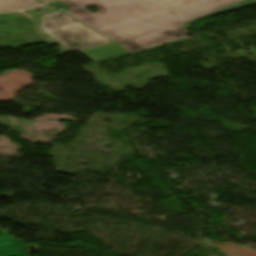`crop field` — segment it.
I'll list each match as a JSON object with an SVG mask.
<instances>
[{
    "mask_svg": "<svg viewBox=\"0 0 256 256\" xmlns=\"http://www.w3.org/2000/svg\"><path fill=\"white\" fill-rule=\"evenodd\" d=\"M92 61L97 62L100 60L120 56L129 53L126 49L121 47L119 44L114 43L86 51H82Z\"/></svg>",
    "mask_w": 256,
    "mask_h": 256,
    "instance_id": "3",
    "label": "crop field"
},
{
    "mask_svg": "<svg viewBox=\"0 0 256 256\" xmlns=\"http://www.w3.org/2000/svg\"><path fill=\"white\" fill-rule=\"evenodd\" d=\"M65 12L114 39L130 52L183 39L182 23L236 8L256 0H59ZM96 6L97 14L85 8Z\"/></svg>",
    "mask_w": 256,
    "mask_h": 256,
    "instance_id": "1",
    "label": "crop field"
},
{
    "mask_svg": "<svg viewBox=\"0 0 256 256\" xmlns=\"http://www.w3.org/2000/svg\"><path fill=\"white\" fill-rule=\"evenodd\" d=\"M41 1L47 2V1H50V0H41Z\"/></svg>",
    "mask_w": 256,
    "mask_h": 256,
    "instance_id": "6",
    "label": "crop field"
},
{
    "mask_svg": "<svg viewBox=\"0 0 256 256\" xmlns=\"http://www.w3.org/2000/svg\"><path fill=\"white\" fill-rule=\"evenodd\" d=\"M42 4L37 0H0V12L28 9Z\"/></svg>",
    "mask_w": 256,
    "mask_h": 256,
    "instance_id": "5",
    "label": "crop field"
},
{
    "mask_svg": "<svg viewBox=\"0 0 256 256\" xmlns=\"http://www.w3.org/2000/svg\"><path fill=\"white\" fill-rule=\"evenodd\" d=\"M40 27L44 33L71 51L113 42L62 12L44 15Z\"/></svg>",
    "mask_w": 256,
    "mask_h": 256,
    "instance_id": "2",
    "label": "crop field"
},
{
    "mask_svg": "<svg viewBox=\"0 0 256 256\" xmlns=\"http://www.w3.org/2000/svg\"><path fill=\"white\" fill-rule=\"evenodd\" d=\"M0 256H25L22 243L0 231Z\"/></svg>",
    "mask_w": 256,
    "mask_h": 256,
    "instance_id": "4",
    "label": "crop field"
}]
</instances>
